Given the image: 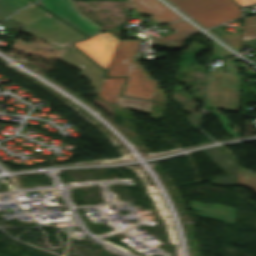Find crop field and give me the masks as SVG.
<instances>
[{
	"label": "crop field",
	"mask_w": 256,
	"mask_h": 256,
	"mask_svg": "<svg viewBox=\"0 0 256 256\" xmlns=\"http://www.w3.org/2000/svg\"><path fill=\"white\" fill-rule=\"evenodd\" d=\"M221 148H223L227 153H229L233 158L237 159L236 156H234L230 151H228L225 147H223L222 145H220Z\"/></svg>",
	"instance_id": "obj_17"
},
{
	"label": "crop field",
	"mask_w": 256,
	"mask_h": 256,
	"mask_svg": "<svg viewBox=\"0 0 256 256\" xmlns=\"http://www.w3.org/2000/svg\"><path fill=\"white\" fill-rule=\"evenodd\" d=\"M204 152L210 156L220 167H222L227 173L237 178V161L233 159L229 154L224 152L218 146L204 150ZM231 176V177H232ZM211 184L219 186L236 185L237 180L228 176L209 180Z\"/></svg>",
	"instance_id": "obj_6"
},
{
	"label": "crop field",
	"mask_w": 256,
	"mask_h": 256,
	"mask_svg": "<svg viewBox=\"0 0 256 256\" xmlns=\"http://www.w3.org/2000/svg\"><path fill=\"white\" fill-rule=\"evenodd\" d=\"M244 45H248L256 48V39L243 42Z\"/></svg>",
	"instance_id": "obj_14"
},
{
	"label": "crop field",
	"mask_w": 256,
	"mask_h": 256,
	"mask_svg": "<svg viewBox=\"0 0 256 256\" xmlns=\"http://www.w3.org/2000/svg\"><path fill=\"white\" fill-rule=\"evenodd\" d=\"M167 26L175 32L160 39L151 41L152 44L159 46H161L162 43L182 45L190 34L199 32V30L185 20L167 24Z\"/></svg>",
	"instance_id": "obj_9"
},
{
	"label": "crop field",
	"mask_w": 256,
	"mask_h": 256,
	"mask_svg": "<svg viewBox=\"0 0 256 256\" xmlns=\"http://www.w3.org/2000/svg\"><path fill=\"white\" fill-rule=\"evenodd\" d=\"M255 3H256V0H245V6H249Z\"/></svg>",
	"instance_id": "obj_15"
},
{
	"label": "crop field",
	"mask_w": 256,
	"mask_h": 256,
	"mask_svg": "<svg viewBox=\"0 0 256 256\" xmlns=\"http://www.w3.org/2000/svg\"><path fill=\"white\" fill-rule=\"evenodd\" d=\"M131 7L140 14H149L159 24L182 19L158 0H128Z\"/></svg>",
	"instance_id": "obj_7"
},
{
	"label": "crop field",
	"mask_w": 256,
	"mask_h": 256,
	"mask_svg": "<svg viewBox=\"0 0 256 256\" xmlns=\"http://www.w3.org/2000/svg\"><path fill=\"white\" fill-rule=\"evenodd\" d=\"M140 40L119 41L106 76L127 75Z\"/></svg>",
	"instance_id": "obj_5"
},
{
	"label": "crop field",
	"mask_w": 256,
	"mask_h": 256,
	"mask_svg": "<svg viewBox=\"0 0 256 256\" xmlns=\"http://www.w3.org/2000/svg\"><path fill=\"white\" fill-rule=\"evenodd\" d=\"M238 184L256 190V172L253 174L238 166Z\"/></svg>",
	"instance_id": "obj_11"
},
{
	"label": "crop field",
	"mask_w": 256,
	"mask_h": 256,
	"mask_svg": "<svg viewBox=\"0 0 256 256\" xmlns=\"http://www.w3.org/2000/svg\"><path fill=\"white\" fill-rule=\"evenodd\" d=\"M145 55H155L156 59L165 57L162 53L137 52L118 104L127 109L148 114L151 101L123 97L127 95L152 99L156 80L149 79L148 72L137 62V60L145 59Z\"/></svg>",
	"instance_id": "obj_2"
},
{
	"label": "crop field",
	"mask_w": 256,
	"mask_h": 256,
	"mask_svg": "<svg viewBox=\"0 0 256 256\" xmlns=\"http://www.w3.org/2000/svg\"><path fill=\"white\" fill-rule=\"evenodd\" d=\"M222 55L225 58L234 56V54L228 52L225 48L219 45L217 42L214 41L213 45V56Z\"/></svg>",
	"instance_id": "obj_13"
},
{
	"label": "crop field",
	"mask_w": 256,
	"mask_h": 256,
	"mask_svg": "<svg viewBox=\"0 0 256 256\" xmlns=\"http://www.w3.org/2000/svg\"><path fill=\"white\" fill-rule=\"evenodd\" d=\"M235 1L238 2L242 6V0H235Z\"/></svg>",
	"instance_id": "obj_18"
},
{
	"label": "crop field",
	"mask_w": 256,
	"mask_h": 256,
	"mask_svg": "<svg viewBox=\"0 0 256 256\" xmlns=\"http://www.w3.org/2000/svg\"><path fill=\"white\" fill-rule=\"evenodd\" d=\"M256 38V16L244 18L243 41Z\"/></svg>",
	"instance_id": "obj_12"
},
{
	"label": "crop field",
	"mask_w": 256,
	"mask_h": 256,
	"mask_svg": "<svg viewBox=\"0 0 256 256\" xmlns=\"http://www.w3.org/2000/svg\"><path fill=\"white\" fill-rule=\"evenodd\" d=\"M206 28L235 19L241 9L232 0H169Z\"/></svg>",
	"instance_id": "obj_3"
},
{
	"label": "crop field",
	"mask_w": 256,
	"mask_h": 256,
	"mask_svg": "<svg viewBox=\"0 0 256 256\" xmlns=\"http://www.w3.org/2000/svg\"><path fill=\"white\" fill-rule=\"evenodd\" d=\"M190 209L198 212V216L230 223L235 225L236 209L222 205L212 204L207 205L199 202L191 201Z\"/></svg>",
	"instance_id": "obj_8"
},
{
	"label": "crop field",
	"mask_w": 256,
	"mask_h": 256,
	"mask_svg": "<svg viewBox=\"0 0 256 256\" xmlns=\"http://www.w3.org/2000/svg\"><path fill=\"white\" fill-rule=\"evenodd\" d=\"M118 40L119 39L111 33L107 32L93 36L90 39L74 43V45L85 52L102 67L107 69L116 49Z\"/></svg>",
	"instance_id": "obj_4"
},
{
	"label": "crop field",
	"mask_w": 256,
	"mask_h": 256,
	"mask_svg": "<svg viewBox=\"0 0 256 256\" xmlns=\"http://www.w3.org/2000/svg\"><path fill=\"white\" fill-rule=\"evenodd\" d=\"M125 77L104 78L98 95L107 102L118 103Z\"/></svg>",
	"instance_id": "obj_10"
},
{
	"label": "crop field",
	"mask_w": 256,
	"mask_h": 256,
	"mask_svg": "<svg viewBox=\"0 0 256 256\" xmlns=\"http://www.w3.org/2000/svg\"><path fill=\"white\" fill-rule=\"evenodd\" d=\"M162 46L170 47V48H176V49H180V47H181V46H177V45H167V44H162Z\"/></svg>",
	"instance_id": "obj_16"
},
{
	"label": "crop field",
	"mask_w": 256,
	"mask_h": 256,
	"mask_svg": "<svg viewBox=\"0 0 256 256\" xmlns=\"http://www.w3.org/2000/svg\"><path fill=\"white\" fill-rule=\"evenodd\" d=\"M238 60H240L238 57L227 60L225 62V69H213H216L219 73H212L213 70L211 71L205 104L213 108L227 134L232 135L234 138L238 137L237 126L231 124L226 115H221L217 109L238 111L240 75L237 74L238 71L235 65V62ZM229 125L234 127V129L231 130Z\"/></svg>",
	"instance_id": "obj_1"
}]
</instances>
